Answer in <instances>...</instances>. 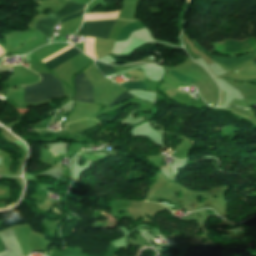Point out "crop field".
I'll list each match as a JSON object with an SVG mask.
<instances>
[{"instance_id": "obj_5", "label": "crop field", "mask_w": 256, "mask_h": 256, "mask_svg": "<svg viewBox=\"0 0 256 256\" xmlns=\"http://www.w3.org/2000/svg\"><path fill=\"white\" fill-rule=\"evenodd\" d=\"M80 51L77 50L76 48H72L66 52H64L63 54L53 58L52 60L44 63V65H46L50 70L59 66L60 64L66 62L67 60H69L70 58H72L73 56H75L76 54H78Z\"/></svg>"}, {"instance_id": "obj_8", "label": "crop field", "mask_w": 256, "mask_h": 256, "mask_svg": "<svg viewBox=\"0 0 256 256\" xmlns=\"http://www.w3.org/2000/svg\"><path fill=\"white\" fill-rule=\"evenodd\" d=\"M122 85H124L126 89H143L144 90V85L142 82H127Z\"/></svg>"}, {"instance_id": "obj_2", "label": "crop field", "mask_w": 256, "mask_h": 256, "mask_svg": "<svg viewBox=\"0 0 256 256\" xmlns=\"http://www.w3.org/2000/svg\"><path fill=\"white\" fill-rule=\"evenodd\" d=\"M74 90H75V96L72 99L93 103L92 86H91L87 76L85 75L84 71L78 75H75ZM132 98H133L132 95L125 92L121 96H119L113 103H111L109 105V107H111L112 105H114L116 103L120 104V103L127 101L129 99H132Z\"/></svg>"}, {"instance_id": "obj_11", "label": "crop field", "mask_w": 256, "mask_h": 256, "mask_svg": "<svg viewBox=\"0 0 256 256\" xmlns=\"http://www.w3.org/2000/svg\"><path fill=\"white\" fill-rule=\"evenodd\" d=\"M54 156H58V154H57V155H54Z\"/></svg>"}, {"instance_id": "obj_10", "label": "crop field", "mask_w": 256, "mask_h": 256, "mask_svg": "<svg viewBox=\"0 0 256 256\" xmlns=\"http://www.w3.org/2000/svg\"><path fill=\"white\" fill-rule=\"evenodd\" d=\"M1 50H2L3 54H5L7 52L3 47H1Z\"/></svg>"}, {"instance_id": "obj_7", "label": "crop field", "mask_w": 256, "mask_h": 256, "mask_svg": "<svg viewBox=\"0 0 256 256\" xmlns=\"http://www.w3.org/2000/svg\"><path fill=\"white\" fill-rule=\"evenodd\" d=\"M96 65L97 67L100 69V71L104 74V75H107V74H111V73H116L117 71H115L113 68H111L110 66L108 65H105V64H101V63H98L96 62ZM117 74V73H116ZM113 75V74H112ZM108 76V75H107Z\"/></svg>"}, {"instance_id": "obj_3", "label": "crop field", "mask_w": 256, "mask_h": 256, "mask_svg": "<svg viewBox=\"0 0 256 256\" xmlns=\"http://www.w3.org/2000/svg\"><path fill=\"white\" fill-rule=\"evenodd\" d=\"M84 7L85 5L77 4L75 2L68 0L64 8L50 14L47 18L37 21L34 28L40 30L42 34L50 36L51 28L59 21L60 18L80 11L84 9Z\"/></svg>"}, {"instance_id": "obj_4", "label": "crop field", "mask_w": 256, "mask_h": 256, "mask_svg": "<svg viewBox=\"0 0 256 256\" xmlns=\"http://www.w3.org/2000/svg\"><path fill=\"white\" fill-rule=\"evenodd\" d=\"M116 21L86 22L83 24L80 33L82 35H92L107 40L111 28Z\"/></svg>"}, {"instance_id": "obj_1", "label": "crop field", "mask_w": 256, "mask_h": 256, "mask_svg": "<svg viewBox=\"0 0 256 256\" xmlns=\"http://www.w3.org/2000/svg\"><path fill=\"white\" fill-rule=\"evenodd\" d=\"M41 82L24 87L25 102H40L63 96L61 82L52 74H39Z\"/></svg>"}, {"instance_id": "obj_9", "label": "crop field", "mask_w": 256, "mask_h": 256, "mask_svg": "<svg viewBox=\"0 0 256 256\" xmlns=\"http://www.w3.org/2000/svg\"><path fill=\"white\" fill-rule=\"evenodd\" d=\"M83 12H84V10L81 11V12L75 13V14H73V15L67 16V17H65V18L62 19V22H65V21H67V20H70V19L76 18V17H78V16H81V15H83ZM62 22H61V23H62Z\"/></svg>"}, {"instance_id": "obj_6", "label": "crop field", "mask_w": 256, "mask_h": 256, "mask_svg": "<svg viewBox=\"0 0 256 256\" xmlns=\"http://www.w3.org/2000/svg\"><path fill=\"white\" fill-rule=\"evenodd\" d=\"M169 73L174 76L176 79H178L179 81L185 83V84H189V83H193L196 82L197 80H194L192 78L186 77L184 75L178 74L176 72L173 71H169Z\"/></svg>"}]
</instances>
